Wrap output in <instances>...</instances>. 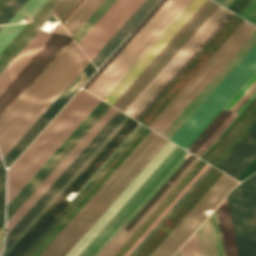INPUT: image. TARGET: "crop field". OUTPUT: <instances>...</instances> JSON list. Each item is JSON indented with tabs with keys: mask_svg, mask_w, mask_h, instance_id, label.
<instances>
[{
	"mask_svg": "<svg viewBox=\"0 0 256 256\" xmlns=\"http://www.w3.org/2000/svg\"><path fill=\"white\" fill-rule=\"evenodd\" d=\"M192 0H161L84 86L100 99L118 83Z\"/></svg>",
	"mask_w": 256,
	"mask_h": 256,
	"instance_id": "1",
	"label": "crop field"
},
{
	"mask_svg": "<svg viewBox=\"0 0 256 256\" xmlns=\"http://www.w3.org/2000/svg\"><path fill=\"white\" fill-rule=\"evenodd\" d=\"M79 91L8 170L7 205L101 101Z\"/></svg>",
	"mask_w": 256,
	"mask_h": 256,
	"instance_id": "2",
	"label": "crop field"
},
{
	"mask_svg": "<svg viewBox=\"0 0 256 256\" xmlns=\"http://www.w3.org/2000/svg\"><path fill=\"white\" fill-rule=\"evenodd\" d=\"M89 62L76 45L29 99L0 129L3 157Z\"/></svg>",
	"mask_w": 256,
	"mask_h": 256,
	"instance_id": "3",
	"label": "crop field"
},
{
	"mask_svg": "<svg viewBox=\"0 0 256 256\" xmlns=\"http://www.w3.org/2000/svg\"><path fill=\"white\" fill-rule=\"evenodd\" d=\"M255 72L256 44L169 140L187 149Z\"/></svg>",
	"mask_w": 256,
	"mask_h": 256,
	"instance_id": "4",
	"label": "crop field"
},
{
	"mask_svg": "<svg viewBox=\"0 0 256 256\" xmlns=\"http://www.w3.org/2000/svg\"><path fill=\"white\" fill-rule=\"evenodd\" d=\"M233 14L220 6L124 113L138 121Z\"/></svg>",
	"mask_w": 256,
	"mask_h": 256,
	"instance_id": "5",
	"label": "crop field"
},
{
	"mask_svg": "<svg viewBox=\"0 0 256 256\" xmlns=\"http://www.w3.org/2000/svg\"><path fill=\"white\" fill-rule=\"evenodd\" d=\"M255 28L256 27L252 24L244 20L197 72V74L188 82V84L179 92V94L170 102V104L161 112V114L152 122L149 128L157 132L159 131L161 134Z\"/></svg>",
	"mask_w": 256,
	"mask_h": 256,
	"instance_id": "6",
	"label": "crop field"
},
{
	"mask_svg": "<svg viewBox=\"0 0 256 256\" xmlns=\"http://www.w3.org/2000/svg\"><path fill=\"white\" fill-rule=\"evenodd\" d=\"M136 126L137 122L129 118L6 256H21L55 219V217L66 207L69 203V201L65 199L67 195L70 192L79 191Z\"/></svg>",
	"mask_w": 256,
	"mask_h": 256,
	"instance_id": "7",
	"label": "crop field"
},
{
	"mask_svg": "<svg viewBox=\"0 0 256 256\" xmlns=\"http://www.w3.org/2000/svg\"><path fill=\"white\" fill-rule=\"evenodd\" d=\"M219 6L207 0L112 106L123 112Z\"/></svg>",
	"mask_w": 256,
	"mask_h": 256,
	"instance_id": "8",
	"label": "crop field"
},
{
	"mask_svg": "<svg viewBox=\"0 0 256 256\" xmlns=\"http://www.w3.org/2000/svg\"><path fill=\"white\" fill-rule=\"evenodd\" d=\"M187 153L176 146L78 256H95Z\"/></svg>",
	"mask_w": 256,
	"mask_h": 256,
	"instance_id": "9",
	"label": "crop field"
},
{
	"mask_svg": "<svg viewBox=\"0 0 256 256\" xmlns=\"http://www.w3.org/2000/svg\"><path fill=\"white\" fill-rule=\"evenodd\" d=\"M227 199L239 256H256V174L238 185Z\"/></svg>",
	"mask_w": 256,
	"mask_h": 256,
	"instance_id": "10",
	"label": "crop field"
},
{
	"mask_svg": "<svg viewBox=\"0 0 256 256\" xmlns=\"http://www.w3.org/2000/svg\"><path fill=\"white\" fill-rule=\"evenodd\" d=\"M167 141L158 135L51 256H65Z\"/></svg>",
	"mask_w": 256,
	"mask_h": 256,
	"instance_id": "11",
	"label": "crop field"
},
{
	"mask_svg": "<svg viewBox=\"0 0 256 256\" xmlns=\"http://www.w3.org/2000/svg\"><path fill=\"white\" fill-rule=\"evenodd\" d=\"M237 184V181L223 174L151 256H172L204 221L206 218L203 215L204 210L208 208L214 210Z\"/></svg>",
	"mask_w": 256,
	"mask_h": 256,
	"instance_id": "12",
	"label": "crop field"
},
{
	"mask_svg": "<svg viewBox=\"0 0 256 256\" xmlns=\"http://www.w3.org/2000/svg\"><path fill=\"white\" fill-rule=\"evenodd\" d=\"M243 20L244 19L234 14L196 56V58L187 66V68L178 76V78L170 85V87L161 95V97L152 105V107L143 115L139 122L143 124L146 123L145 126L148 127Z\"/></svg>",
	"mask_w": 256,
	"mask_h": 256,
	"instance_id": "13",
	"label": "crop field"
},
{
	"mask_svg": "<svg viewBox=\"0 0 256 256\" xmlns=\"http://www.w3.org/2000/svg\"><path fill=\"white\" fill-rule=\"evenodd\" d=\"M104 102L89 114V116L80 124L72 135L63 143L55 154L46 162V164L37 172L29 183L20 191V193L7 206V221L19 209V207L28 199L36 188L45 180V178L54 170L62 159L71 151V149L80 141L88 130L97 122V120L109 108Z\"/></svg>",
	"mask_w": 256,
	"mask_h": 256,
	"instance_id": "14",
	"label": "crop field"
},
{
	"mask_svg": "<svg viewBox=\"0 0 256 256\" xmlns=\"http://www.w3.org/2000/svg\"><path fill=\"white\" fill-rule=\"evenodd\" d=\"M126 115L117 112L115 116L106 124V126L97 134L89 145L80 153L72 164L63 172V174L54 182L46 193L37 201L29 212L20 220V222L7 235L6 248L15 240V238L24 230V228L33 220V218L42 210V208L51 200V198L60 190L68 179L77 171V169L86 161V159L95 151V149L104 141V139L113 131V129L122 121Z\"/></svg>",
	"mask_w": 256,
	"mask_h": 256,
	"instance_id": "15",
	"label": "crop field"
},
{
	"mask_svg": "<svg viewBox=\"0 0 256 256\" xmlns=\"http://www.w3.org/2000/svg\"><path fill=\"white\" fill-rule=\"evenodd\" d=\"M188 155L189 153L166 177V179L157 187V189L147 198V200L138 208V210L129 218V220L123 225L124 227L153 196V194L161 187V185L169 178V176L178 168V166L186 159ZM198 160L199 159L195 158L192 155L187 159V161L185 160L186 162L184 161L185 163L183 162L184 164L182 163L183 165L181 164L182 166H179L180 168L178 169V171L176 170L177 172L175 171L176 173L174 172L175 174L173 173L174 175L172 174L173 176H170L171 178L168 180V182L166 181L167 183L165 182L166 184L164 183L165 185H162L163 187L159 190V192L157 191L158 193L156 192L157 194H154L155 196L150 200V202L148 201L149 203L147 202L148 204L146 203L147 205L140 211V213L138 212L139 214L137 213L138 215L131 221V223L129 222L130 224L126 228L122 226L124 229L122 227L121 228L123 230L120 228L122 231L119 229L121 231H119L120 234L117 232L119 235L116 233L118 236L115 234L117 237L114 235L116 238L113 236L115 239L113 237L112 238L114 240L111 238L113 241L110 239L112 241H110L111 244L108 242L110 245L107 243L109 246L106 244L108 247L105 245L107 248L104 246L106 249L103 247L105 250L102 248L104 251L101 249L103 251L102 252L100 250L102 254L100 252L99 253L101 255L99 253L98 254L100 256H113L116 251L124 244V242L132 235V233L140 226V224L149 216V214L158 206V204L167 196V194L176 186V184L185 176V174L194 166V164Z\"/></svg>",
	"mask_w": 256,
	"mask_h": 256,
	"instance_id": "16",
	"label": "crop field"
},
{
	"mask_svg": "<svg viewBox=\"0 0 256 256\" xmlns=\"http://www.w3.org/2000/svg\"><path fill=\"white\" fill-rule=\"evenodd\" d=\"M61 27L23 71L0 95V116L70 40Z\"/></svg>",
	"mask_w": 256,
	"mask_h": 256,
	"instance_id": "17",
	"label": "crop field"
},
{
	"mask_svg": "<svg viewBox=\"0 0 256 256\" xmlns=\"http://www.w3.org/2000/svg\"><path fill=\"white\" fill-rule=\"evenodd\" d=\"M143 1L144 0H117L82 38L78 44L88 55L90 60Z\"/></svg>",
	"mask_w": 256,
	"mask_h": 256,
	"instance_id": "18",
	"label": "crop field"
},
{
	"mask_svg": "<svg viewBox=\"0 0 256 256\" xmlns=\"http://www.w3.org/2000/svg\"><path fill=\"white\" fill-rule=\"evenodd\" d=\"M206 0H193L160 38L151 46L143 57L107 95L109 104H113L116 99L126 90L135 78L145 69V67L155 58L164 46L174 37V35L184 26L193 14L203 5Z\"/></svg>",
	"mask_w": 256,
	"mask_h": 256,
	"instance_id": "19",
	"label": "crop field"
},
{
	"mask_svg": "<svg viewBox=\"0 0 256 256\" xmlns=\"http://www.w3.org/2000/svg\"><path fill=\"white\" fill-rule=\"evenodd\" d=\"M256 95V74L242 88V90L228 104L240 112ZM226 106L221 113L209 124V126L200 134L202 137L196 145L190 150L193 154L200 157L204 151L214 142V140L223 132V130L240 113L230 106ZM192 145L189 147V149Z\"/></svg>",
	"mask_w": 256,
	"mask_h": 256,
	"instance_id": "20",
	"label": "crop field"
},
{
	"mask_svg": "<svg viewBox=\"0 0 256 256\" xmlns=\"http://www.w3.org/2000/svg\"><path fill=\"white\" fill-rule=\"evenodd\" d=\"M117 110L109 108L107 112L98 120V122L89 130L81 141L72 149V151L63 159L55 170L46 178V180L37 188L29 199L20 207V209L7 222V234L19 222V220L28 212L36 201L45 193L53 182L62 174V172L71 164L79 153L88 145L96 134L105 126V124L114 116Z\"/></svg>",
	"mask_w": 256,
	"mask_h": 256,
	"instance_id": "21",
	"label": "crop field"
},
{
	"mask_svg": "<svg viewBox=\"0 0 256 256\" xmlns=\"http://www.w3.org/2000/svg\"><path fill=\"white\" fill-rule=\"evenodd\" d=\"M222 174L213 168L135 256H150Z\"/></svg>",
	"mask_w": 256,
	"mask_h": 256,
	"instance_id": "22",
	"label": "crop field"
},
{
	"mask_svg": "<svg viewBox=\"0 0 256 256\" xmlns=\"http://www.w3.org/2000/svg\"><path fill=\"white\" fill-rule=\"evenodd\" d=\"M157 135L158 134L152 131L148 134V136L139 144V146L130 154V156L121 164V166L112 174V176L85 204V206L76 214V216L67 224V226L49 244V246L40 254V256H50L52 254V252L69 235V233L86 216V214L103 197V195L111 188V186L120 178V176L128 169V167L137 159V157L145 150V148L154 140V138Z\"/></svg>",
	"mask_w": 256,
	"mask_h": 256,
	"instance_id": "23",
	"label": "crop field"
},
{
	"mask_svg": "<svg viewBox=\"0 0 256 256\" xmlns=\"http://www.w3.org/2000/svg\"><path fill=\"white\" fill-rule=\"evenodd\" d=\"M256 43V29L244 41V43L235 51V53L226 61L218 72L209 80V82L200 90L192 101L183 109V111L174 119V121L161 134L170 138L173 133L183 124V122L192 114V112L202 103V101L212 92V90L221 82V80L231 71V69L241 60V58ZM175 134V133H174Z\"/></svg>",
	"mask_w": 256,
	"mask_h": 256,
	"instance_id": "24",
	"label": "crop field"
},
{
	"mask_svg": "<svg viewBox=\"0 0 256 256\" xmlns=\"http://www.w3.org/2000/svg\"><path fill=\"white\" fill-rule=\"evenodd\" d=\"M95 71L89 62L86 67L77 75L61 95L52 103L44 114L35 122L19 142L3 158L6 166H9L13 160L22 152V150L32 141V139L42 130V128L51 120V118L61 109V107L71 98V96L80 88V86Z\"/></svg>",
	"mask_w": 256,
	"mask_h": 256,
	"instance_id": "25",
	"label": "crop field"
},
{
	"mask_svg": "<svg viewBox=\"0 0 256 256\" xmlns=\"http://www.w3.org/2000/svg\"><path fill=\"white\" fill-rule=\"evenodd\" d=\"M256 121V96L200 157L215 166Z\"/></svg>",
	"mask_w": 256,
	"mask_h": 256,
	"instance_id": "26",
	"label": "crop field"
},
{
	"mask_svg": "<svg viewBox=\"0 0 256 256\" xmlns=\"http://www.w3.org/2000/svg\"><path fill=\"white\" fill-rule=\"evenodd\" d=\"M149 132L150 130L146 128L142 131V133L133 141V143L108 169V171L100 178V180L91 188V190L66 216V218L58 225V227L49 235V237L41 244V246L33 253L32 256H38L47 247V245L56 237V235L65 227V225L74 217V215L83 207V205L92 197V195L101 187V185L110 177V175L119 167V165L128 157V155L137 147V145L146 137Z\"/></svg>",
	"mask_w": 256,
	"mask_h": 256,
	"instance_id": "27",
	"label": "crop field"
},
{
	"mask_svg": "<svg viewBox=\"0 0 256 256\" xmlns=\"http://www.w3.org/2000/svg\"><path fill=\"white\" fill-rule=\"evenodd\" d=\"M255 158L256 126L218 169L237 179Z\"/></svg>",
	"mask_w": 256,
	"mask_h": 256,
	"instance_id": "28",
	"label": "crop field"
},
{
	"mask_svg": "<svg viewBox=\"0 0 256 256\" xmlns=\"http://www.w3.org/2000/svg\"><path fill=\"white\" fill-rule=\"evenodd\" d=\"M157 2V0H145L139 8L131 15V17L122 25V27L113 35V37L104 45V47L91 60L96 67H99L110 53L118 46L125 36L133 29V27L141 20V18L149 11V9Z\"/></svg>",
	"mask_w": 256,
	"mask_h": 256,
	"instance_id": "29",
	"label": "crop field"
},
{
	"mask_svg": "<svg viewBox=\"0 0 256 256\" xmlns=\"http://www.w3.org/2000/svg\"><path fill=\"white\" fill-rule=\"evenodd\" d=\"M50 37L38 33L25 49L15 58V60L0 75V93L27 65V63L46 44Z\"/></svg>",
	"mask_w": 256,
	"mask_h": 256,
	"instance_id": "30",
	"label": "crop field"
},
{
	"mask_svg": "<svg viewBox=\"0 0 256 256\" xmlns=\"http://www.w3.org/2000/svg\"><path fill=\"white\" fill-rule=\"evenodd\" d=\"M75 45L76 44L71 39L67 45L57 54V56L55 55L56 57L0 117V128L8 121V119L17 111V109L26 101V99L35 91V89L44 81V79L53 71V69L62 61V59L71 51Z\"/></svg>",
	"mask_w": 256,
	"mask_h": 256,
	"instance_id": "31",
	"label": "crop field"
},
{
	"mask_svg": "<svg viewBox=\"0 0 256 256\" xmlns=\"http://www.w3.org/2000/svg\"><path fill=\"white\" fill-rule=\"evenodd\" d=\"M105 0H85L63 25L73 37Z\"/></svg>",
	"mask_w": 256,
	"mask_h": 256,
	"instance_id": "32",
	"label": "crop field"
},
{
	"mask_svg": "<svg viewBox=\"0 0 256 256\" xmlns=\"http://www.w3.org/2000/svg\"><path fill=\"white\" fill-rule=\"evenodd\" d=\"M227 256H238L227 200L217 208Z\"/></svg>",
	"mask_w": 256,
	"mask_h": 256,
	"instance_id": "33",
	"label": "crop field"
},
{
	"mask_svg": "<svg viewBox=\"0 0 256 256\" xmlns=\"http://www.w3.org/2000/svg\"><path fill=\"white\" fill-rule=\"evenodd\" d=\"M129 117H125L123 121L114 129V131L105 139V141L96 149V151L87 159V161L78 169V171L69 179V181L61 188V190L52 198V200L43 208V210L34 218V220L25 228V230L16 238V240L7 248L2 256H5L14 245L22 238V236L31 228V226L39 219V217L48 209V207L56 200V198L65 190V188L74 180V178L82 171V169L91 161V159L99 152V150L108 142V140L116 133V131L125 123Z\"/></svg>",
	"mask_w": 256,
	"mask_h": 256,
	"instance_id": "34",
	"label": "crop field"
},
{
	"mask_svg": "<svg viewBox=\"0 0 256 256\" xmlns=\"http://www.w3.org/2000/svg\"><path fill=\"white\" fill-rule=\"evenodd\" d=\"M49 11L50 10L44 4L43 7L32 18L34 21L32 22V20H30V23H32H28L25 28L16 36V38L7 46V48L0 54V64Z\"/></svg>",
	"mask_w": 256,
	"mask_h": 256,
	"instance_id": "35",
	"label": "crop field"
},
{
	"mask_svg": "<svg viewBox=\"0 0 256 256\" xmlns=\"http://www.w3.org/2000/svg\"><path fill=\"white\" fill-rule=\"evenodd\" d=\"M143 125H139L136 130L127 138V140L118 148V150L109 158V160L100 168V170L91 178V180L84 186L79 194L71 201V203L59 214V216L47 227V229L38 237V239L29 247V249L22 255L26 256L29 251L38 243V241L47 233V231L56 223V221L65 213V211L74 203V201L84 192V190L93 182V180L102 172V170L111 162V160L120 152V150L129 142V140L138 132Z\"/></svg>",
	"mask_w": 256,
	"mask_h": 256,
	"instance_id": "36",
	"label": "crop field"
},
{
	"mask_svg": "<svg viewBox=\"0 0 256 256\" xmlns=\"http://www.w3.org/2000/svg\"><path fill=\"white\" fill-rule=\"evenodd\" d=\"M211 166V165H210ZM208 167L205 172L196 180V182L187 190V192L178 200V202L169 210V212L160 220V222L151 230V232L141 241V243L132 251L129 256L135 253L144 245V243L153 235V233L163 224V222L172 214V212L181 204V202L190 194V192L199 184V182L208 174L212 167Z\"/></svg>",
	"mask_w": 256,
	"mask_h": 256,
	"instance_id": "37",
	"label": "crop field"
},
{
	"mask_svg": "<svg viewBox=\"0 0 256 256\" xmlns=\"http://www.w3.org/2000/svg\"><path fill=\"white\" fill-rule=\"evenodd\" d=\"M202 256H215L208 219L197 230Z\"/></svg>",
	"mask_w": 256,
	"mask_h": 256,
	"instance_id": "38",
	"label": "crop field"
},
{
	"mask_svg": "<svg viewBox=\"0 0 256 256\" xmlns=\"http://www.w3.org/2000/svg\"><path fill=\"white\" fill-rule=\"evenodd\" d=\"M145 127L143 126L139 132L130 140V142L121 150V152L112 160V162L103 170V172L94 180V182L85 190V192L76 200V202L68 209V211L60 218V220L52 227L45 237L37 244V246L29 253H32L40 246V244L48 237V235L57 227V225L65 218V216L74 208V206L82 199V197L90 190V188L99 180V178L107 171V169L116 161V159L124 152V150L132 143V141L141 133Z\"/></svg>",
	"mask_w": 256,
	"mask_h": 256,
	"instance_id": "39",
	"label": "crop field"
},
{
	"mask_svg": "<svg viewBox=\"0 0 256 256\" xmlns=\"http://www.w3.org/2000/svg\"><path fill=\"white\" fill-rule=\"evenodd\" d=\"M116 0H106L100 8L93 14V16L85 23V25L77 32V34L73 37L75 41L78 43L81 38L90 30V28L99 20V18L108 10V8L115 2Z\"/></svg>",
	"mask_w": 256,
	"mask_h": 256,
	"instance_id": "40",
	"label": "crop field"
},
{
	"mask_svg": "<svg viewBox=\"0 0 256 256\" xmlns=\"http://www.w3.org/2000/svg\"><path fill=\"white\" fill-rule=\"evenodd\" d=\"M209 165H205L202 170L193 178V180L184 188V190L175 198V200L165 209V211L156 219V221L147 229V231L138 239V241L124 255L128 256L131 251L140 243V241L149 233V231L159 222V220L168 212V210L177 202V200L186 192V190L195 182V180L204 172Z\"/></svg>",
	"mask_w": 256,
	"mask_h": 256,
	"instance_id": "41",
	"label": "crop field"
},
{
	"mask_svg": "<svg viewBox=\"0 0 256 256\" xmlns=\"http://www.w3.org/2000/svg\"><path fill=\"white\" fill-rule=\"evenodd\" d=\"M210 220H211L217 255L226 256L216 210L210 217Z\"/></svg>",
	"mask_w": 256,
	"mask_h": 256,
	"instance_id": "42",
	"label": "crop field"
},
{
	"mask_svg": "<svg viewBox=\"0 0 256 256\" xmlns=\"http://www.w3.org/2000/svg\"><path fill=\"white\" fill-rule=\"evenodd\" d=\"M80 0H59L51 9L60 22Z\"/></svg>",
	"mask_w": 256,
	"mask_h": 256,
	"instance_id": "43",
	"label": "crop field"
},
{
	"mask_svg": "<svg viewBox=\"0 0 256 256\" xmlns=\"http://www.w3.org/2000/svg\"><path fill=\"white\" fill-rule=\"evenodd\" d=\"M180 256H201L197 233L179 249Z\"/></svg>",
	"mask_w": 256,
	"mask_h": 256,
	"instance_id": "44",
	"label": "crop field"
},
{
	"mask_svg": "<svg viewBox=\"0 0 256 256\" xmlns=\"http://www.w3.org/2000/svg\"><path fill=\"white\" fill-rule=\"evenodd\" d=\"M26 0H13V2L0 15V24H6L10 18L20 9ZM3 26L0 27V29Z\"/></svg>",
	"mask_w": 256,
	"mask_h": 256,
	"instance_id": "45",
	"label": "crop field"
},
{
	"mask_svg": "<svg viewBox=\"0 0 256 256\" xmlns=\"http://www.w3.org/2000/svg\"><path fill=\"white\" fill-rule=\"evenodd\" d=\"M37 32L32 31L21 44L11 53V55L0 66V74L14 60V58L23 50V48L33 39Z\"/></svg>",
	"mask_w": 256,
	"mask_h": 256,
	"instance_id": "46",
	"label": "crop field"
},
{
	"mask_svg": "<svg viewBox=\"0 0 256 256\" xmlns=\"http://www.w3.org/2000/svg\"><path fill=\"white\" fill-rule=\"evenodd\" d=\"M5 173L0 161V227L4 223Z\"/></svg>",
	"mask_w": 256,
	"mask_h": 256,
	"instance_id": "47",
	"label": "crop field"
},
{
	"mask_svg": "<svg viewBox=\"0 0 256 256\" xmlns=\"http://www.w3.org/2000/svg\"><path fill=\"white\" fill-rule=\"evenodd\" d=\"M249 2L250 0H234L228 9L238 14Z\"/></svg>",
	"mask_w": 256,
	"mask_h": 256,
	"instance_id": "48",
	"label": "crop field"
},
{
	"mask_svg": "<svg viewBox=\"0 0 256 256\" xmlns=\"http://www.w3.org/2000/svg\"><path fill=\"white\" fill-rule=\"evenodd\" d=\"M256 8V0H252L238 15L247 18Z\"/></svg>",
	"mask_w": 256,
	"mask_h": 256,
	"instance_id": "49",
	"label": "crop field"
},
{
	"mask_svg": "<svg viewBox=\"0 0 256 256\" xmlns=\"http://www.w3.org/2000/svg\"><path fill=\"white\" fill-rule=\"evenodd\" d=\"M256 171V159L252 162V164L242 173V175L237 179L239 181L244 180L246 177L251 175Z\"/></svg>",
	"mask_w": 256,
	"mask_h": 256,
	"instance_id": "50",
	"label": "crop field"
},
{
	"mask_svg": "<svg viewBox=\"0 0 256 256\" xmlns=\"http://www.w3.org/2000/svg\"><path fill=\"white\" fill-rule=\"evenodd\" d=\"M255 125L256 122L249 128V130L239 139V141L230 149V151L220 160V162L215 167H219V165L228 157V155L237 147V145L245 138V136L253 129Z\"/></svg>",
	"mask_w": 256,
	"mask_h": 256,
	"instance_id": "51",
	"label": "crop field"
},
{
	"mask_svg": "<svg viewBox=\"0 0 256 256\" xmlns=\"http://www.w3.org/2000/svg\"><path fill=\"white\" fill-rule=\"evenodd\" d=\"M249 22L255 24L256 23V9L253 11V13L246 19Z\"/></svg>",
	"mask_w": 256,
	"mask_h": 256,
	"instance_id": "52",
	"label": "crop field"
},
{
	"mask_svg": "<svg viewBox=\"0 0 256 256\" xmlns=\"http://www.w3.org/2000/svg\"><path fill=\"white\" fill-rule=\"evenodd\" d=\"M221 5L225 6L226 8L232 3L233 0H214Z\"/></svg>",
	"mask_w": 256,
	"mask_h": 256,
	"instance_id": "53",
	"label": "crop field"
},
{
	"mask_svg": "<svg viewBox=\"0 0 256 256\" xmlns=\"http://www.w3.org/2000/svg\"><path fill=\"white\" fill-rule=\"evenodd\" d=\"M12 0H4L1 4H0V13L4 10V8L11 2Z\"/></svg>",
	"mask_w": 256,
	"mask_h": 256,
	"instance_id": "54",
	"label": "crop field"
},
{
	"mask_svg": "<svg viewBox=\"0 0 256 256\" xmlns=\"http://www.w3.org/2000/svg\"><path fill=\"white\" fill-rule=\"evenodd\" d=\"M58 0H49L46 4L51 9Z\"/></svg>",
	"mask_w": 256,
	"mask_h": 256,
	"instance_id": "55",
	"label": "crop field"
},
{
	"mask_svg": "<svg viewBox=\"0 0 256 256\" xmlns=\"http://www.w3.org/2000/svg\"><path fill=\"white\" fill-rule=\"evenodd\" d=\"M174 256H179V252L177 251V253Z\"/></svg>",
	"mask_w": 256,
	"mask_h": 256,
	"instance_id": "56",
	"label": "crop field"
},
{
	"mask_svg": "<svg viewBox=\"0 0 256 256\" xmlns=\"http://www.w3.org/2000/svg\"><path fill=\"white\" fill-rule=\"evenodd\" d=\"M3 0H0V3L2 2Z\"/></svg>",
	"mask_w": 256,
	"mask_h": 256,
	"instance_id": "57",
	"label": "crop field"
}]
</instances>
